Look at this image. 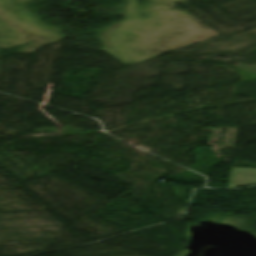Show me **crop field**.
<instances>
[{
    "label": "crop field",
    "mask_w": 256,
    "mask_h": 256,
    "mask_svg": "<svg viewBox=\"0 0 256 256\" xmlns=\"http://www.w3.org/2000/svg\"><path fill=\"white\" fill-rule=\"evenodd\" d=\"M256 184V168L233 167L229 186H247Z\"/></svg>",
    "instance_id": "obj_1"
}]
</instances>
